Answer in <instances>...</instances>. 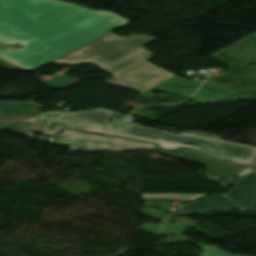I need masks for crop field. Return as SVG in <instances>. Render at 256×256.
Segmentation results:
<instances>
[{"instance_id": "5a996713", "label": "crop field", "mask_w": 256, "mask_h": 256, "mask_svg": "<svg viewBox=\"0 0 256 256\" xmlns=\"http://www.w3.org/2000/svg\"><path fill=\"white\" fill-rule=\"evenodd\" d=\"M190 161L206 165L209 169V172L223 179H228L231 176L245 169L244 166L234 165L228 162L211 159L199 153L198 151L193 155Z\"/></svg>"}, {"instance_id": "d9b57169", "label": "crop field", "mask_w": 256, "mask_h": 256, "mask_svg": "<svg viewBox=\"0 0 256 256\" xmlns=\"http://www.w3.org/2000/svg\"><path fill=\"white\" fill-rule=\"evenodd\" d=\"M75 81L63 76V75H60L52 80H49V81H45L44 83L48 84V85H51L55 88H65L71 84H73Z\"/></svg>"}, {"instance_id": "dd49c442", "label": "crop field", "mask_w": 256, "mask_h": 256, "mask_svg": "<svg viewBox=\"0 0 256 256\" xmlns=\"http://www.w3.org/2000/svg\"><path fill=\"white\" fill-rule=\"evenodd\" d=\"M39 106L32 102H0V121H30V129L35 130Z\"/></svg>"}, {"instance_id": "f4fd0767", "label": "crop field", "mask_w": 256, "mask_h": 256, "mask_svg": "<svg viewBox=\"0 0 256 256\" xmlns=\"http://www.w3.org/2000/svg\"><path fill=\"white\" fill-rule=\"evenodd\" d=\"M56 145L71 147V151L98 152V151H125L131 149H152L154 144L120 139L115 137H102L65 129Z\"/></svg>"}, {"instance_id": "412701ff", "label": "crop field", "mask_w": 256, "mask_h": 256, "mask_svg": "<svg viewBox=\"0 0 256 256\" xmlns=\"http://www.w3.org/2000/svg\"><path fill=\"white\" fill-rule=\"evenodd\" d=\"M152 52L142 48L101 69L114 76L106 83L134 89L140 93L170 79L174 75L146 61Z\"/></svg>"}, {"instance_id": "3316defc", "label": "crop field", "mask_w": 256, "mask_h": 256, "mask_svg": "<svg viewBox=\"0 0 256 256\" xmlns=\"http://www.w3.org/2000/svg\"><path fill=\"white\" fill-rule=\"evenodd\" d=\"M174 77V76H173ZM172 78V77H171ZM201 83H195L181 78L174 77L144 93L142 96L150 97L153 95L152 91H164L175 93L184 97H189L200 85Z\"/></svg>"}, {"instance_id": "214f88e0", "label": "crop field", "mask_w": 256, "mask_h": 256, "mask_svg": "<svg viewBox=\"0 0 256 256\" xmlns=\"http://www.w3.org/2000/svg\"><path fill=\"white\" fill-rule=\"evenodd\" d=\"M254 60L256 61V57L254 58Z\"/></svg>"}, {"instance_id": "5142ce71", "label": "crop field", "mask_w": 256, "mask_h": 256, "mask_svg": "<svg viewBox=\"0 0 256 256\" xmlns=\"http://www.w3.org/2000/svg\"><path fill=\"white\" fill-rule=\"evenodd\" d=\"M25 125L26 124H3V125H0V130H9L15 133L24 134L33 140L35 134L28 131L25 128Z\"/></svg>"}, {"instance_id": "d8731c3e", "label": "crop field", "mask_w": 256, "mask_h": 256, "mask_svg": "<svg viewBox=\"0 0 256 256\" xmlns=\"http://www.w3.org/2000/svg\"><path fill=\"white\" fill-rule=\"evenodd\" d=\"M238 207L222 195L206 198L193 204L185 205L178 212V215L215 212Z\"/></svg>"}, {"instance_id": "733c2abd", "label": "crop field", "mask_w": 256, "mask_h": 256, "mask_svg": "<svg viewBox=\"0 0 256 256\" xmlns=\"http://www.w3.org/2000/svg\"><path fill=\"white\" fill-rule=\"evenodd\" d=\"M202 246L205 248V251L202 254V256H241V255H234V254L222 252L219 250L218 247L206 246V245H202Z\"/></svg>"}, {"instance_id": "8a807250", "label": "crop field", "mask_w": 256, "mask_h": 256, "mask_svg": "<svg viewBox=\"0 0 256 256\" xmlns=\"http://www.w3.org/2000/svg\"><path fill=\"white\" fill-rule=\"evenodd\" d=\"M129 22L58 0H0V43L23 46L1 50L0 64L33 70Z\"/></svg>"}, {"instance_id": "28ad6ade", "label": "crop field", "mask_w": 256, "mask_h": 256, "mask_svg": "<svg viewBox=\"0 0 256 256\" xmlns=\"http://www.w3.org/2000/svg\"><path fill=\"white\" fill-rule=\"evenodd\" d=\"M75 113L49 111L42 113L39 123V132L54 134L62 127L68 126Z\"/></svg>"}, {"instance_id": "cbeb9de0", "label": "crop field", "mask_w": 256, "mask_h": 256, "mask_svg": "<svg viewBox=\"0 0 256 256\" xmlns=\"http://www.w3.org/2000/svg\"><path fill=\"white\" fill-rule=\"evenodd\" d=\"M239 54L242 55L239 58L247 60V59L251 58L254 54H256V49L248 47V46H235V47L227 50V52H226V55H228L230 57H236Z\"/></svg>"}, {"instance_id": "ac0d7876", "label": "crop field", "mask_w": 256, "mask_h": 256, "mask_svg": "<svg viewBox=\"0 0 256 256\" xmlns=\"http://www.w3.org/2000/svg\"><path fill=\"white\" fill-rule=\"evenodd\" d=\"M112 115L111 112L99 110L79 112L76 113L69 127L154 141L159 143L162 148L167 149H176L182 146L196 148L212 157L246 165L256 154V149L210 139L176 135L162 130L145 128L137 124L108 122Z\"/></svg>"}, {"instance_id": "34b2d1b8", "label": "crop field", "mask_w": 256, "mask_h": 256, "mask_svg": "<svg viewBox=\"0 0 256 256\" xmlns=\"http://www.w3.org/2000/svg\"><path fill=\"white\" fill-rule=\"evenodd\" d=\"M157 39L145 36L119 37L109 33L51 62L76 64L89 62L103 68Z\"/></svg>"}, {"instance_id": "4a817a6b", "label": "crop field", "mask_w": 256, "mask_h": 256, "mask_svg": "<svg viewBox=\"0 0 256 256\" xmlns=\"http://www.w3.org/2000/svg\"><path fill=\"white\" fill-rule=\"evenodd\" d=\"M250 166H256V158H255V160L252 162V164Z\"/></svg>"}, {"instance_id": "bc2a9ffb", "label": "crop field", "mask_w": 256, "mask_h": 256, "mask_svg": "<svg viewBox=\"0 0 256 256\" xmlns=\"http://www.w3.org/2000/svg\"><path fill=\"white\" fill-rule=\"evenodd\" d=\"M250 36H254V37H256V33H254V34H252V35H250Z\"/></svg>"}, {"instance_id": "22f410ed", "label": "crop field", "mask_w": 256, "mask_h": 256, "mask_svg": "<svg viewBox=\"0 0 256 256\" xmlns=\"http://www.w3.org/2000/svg\"><path fill=\"white\" fill-rule=\"evenodd\" d=\"M205 194H142L141 198L191 201Z\"/></svg>"}, {"instance_id": "d1516ede", "label": "crop field", "mask_w": 256, "mask_h": 256, "mask_svg": "<svg viewBox=\"0 0 256 256\" xmlns=\"http://www.w3.org/2000/svg\"><path fill=\"white\" fill-rule=\"evenodd\" d=\"M235 94L231 90L212 88L202 85L200 90L195 93L190 100L196 103H211L215 101H228L235 99Z\"/></svg>"}, {"instance_id": "e52e79f7", "label": "crop field", "mask_w": 256, "mask_h": 256, "mask_svg": "<svg viewBox=\"0 0 256 256\" xmlns=\"http://www.w3.org/2000/svg\"><path fill=\"white\" fill-rule=\"evenodd\" d=\"M224 195L256 211V170L239 180L237 186Z\"/></svg>"}]
</instances>
